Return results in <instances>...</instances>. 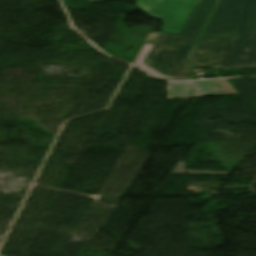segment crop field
<instances>
[{
	"instance_id": "1",
	"label": "crop field",
	"mask_w": 256,
	"mask_h": 256,
	"mask_svg": "<svg viewBox=\"0 0 256 256\" xmlns=\"http://www.w3.org/2000/svg\"><path fill=\"white\" fill-rule=\"evenodd\" d=\"M189 61L199 68H256V0H219Z\"/></svg>"
},
{
	"instance_id": "3",
	"label": "crop field",
	"mask_w": 256,
	"mask_h": 256,
	"mask_svg": "<svg viewBox=\"0 0 256 256\" xmlns=\"http://www.w3.org/2000/svg\"><path fill=\"white\" fill-rule=\"evenodd\" d=\"M199 0H137L138 7L148 15L163 17L162 31L179 33L192 7Z\"/></svg>"
},
{
	"instance_id": "4",
	"label": "crop field",
	"mask_w": 256,
	"mask_h": 256,
	"mask_svg": "<svg viewBox=\"0 0 256 256\" xmlns=\"http://www.w3.org/2000/svg\"><path fill=\"white\" fill-rule=\"evenodd\" d=\"M199 88L193 96L237 95L238 93L225 81H198ZM196 83H172V98L189 99Z\"/></svg>"
},
{
	"instance_id": "5",
	"label": "crop field",
	"mask_w": 256,
	"mask_h": 256,
	"mask_svg": "<svg viewBox=\"0 0 256 256\" xmlns=\"http://www.w3.org/2000/svg\"><path fill=\"white\" fill-rule=\"evenodd\" d=\"M91 3H94V2H98V1H103V0H89Z\"/></svg>"
},
{
	"instance_id": "2",
	"label": "crop field",
	"mask_w": 256,
	"mask_h": 256,
	"mask_svg": "<svg viewBox=\"0 0 256 256\" xmlns=\"http://www.w3.org/2000/svg\"><path fill=\"white\" fill-rule=\"evenodd\" d=\"M217 0H200L179 34L152 33L135 65L150 75L168 80H192L186 61Z\"/></svg>"
}]
</instances>
